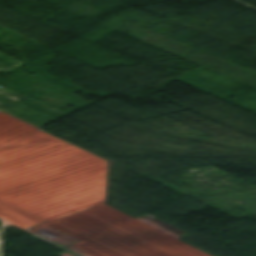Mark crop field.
<instances>
[{"instance_id": "8a807250", "label": "crop field", "mask_w": 256, "mask_h": 256, "mask_svg": "<svg viewBox=\"0 0 256 256\" xmlns=\"http://www.w3.org/2000/svg\"><path fill=\"white\" fill-rule=\"evenodd\" d=\"M21 62L0 52V70H10ZM0 110L41 127L64 115L0 87Z\"/></svg>"}]
</instances>
